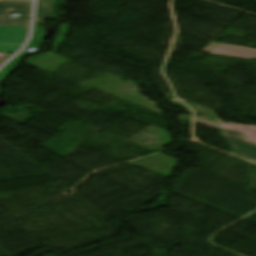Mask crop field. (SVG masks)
Instances as JSON below:
<instances>
[{
    "label": "crop field",
    "mask_w": 256,
    "mask_h": 256,
    "mask_svg": "<svg viewBox=\"0 0 256 256\" xmlns=\"http://www.w3.org/2000/svg\"><path fill=\"white\" fill-rule=\"evenodd\" d=\"M248 131L220 124V136L231 147V154L256 162V143L247 137Z\"/></svg>",
    "instance_id": "8a807250"
},
{
    "label": "crop field",
    "mask_w": 256,
    "mask_h": 256,
    "mask_svg": "<svg viewBox=\"0 0 256 256\" xmlns=\"http://www.w3.org/2000/svg\"><path fill=\"white\" fill-rule=\"evenodd\" d=\"M31 2L0 1V25L28 26L29 20L10 19V12L29 13Z\"/></svg>",
    "instance_id": "ac0d7876"
},
{
    "label": "crop field",
    "mask_w": 256,
    "mask_h": 256,
    "mask_svg": "<svg viewBox=\"0 0 256 256\" xmlns=\"http://www.w3.org/2000/svg\"><path fill=\"white\" fill-rule=\"evenodd\" d=\"M27 29L28 27L0 26V50L16 52L26 39Z\"/></svg>",
    "instance_id": "34b2d1b8"
},
{
    "label": "crop field",
    "mask_w": 256,
    "mask_h": 256,
    "mask_svg": "<svg viewBox=\"0 0 256 256\" xmlns=\"http://www.w3.org/2000/svg\"><path fill=\"white\" fill-rule=\"evenodd\" d=\"M202 51L203 52L226 55V56L244 58V59H254V58H256V49L234 46V45L221 44V43H215V42H211Z\"/></svg>",
    "instance_id": "412701ff"
},
{
    "label": "crop field",
    "mask_w": 256,
    "mask_h": 256,
    "mask_svg": "<svg viewBox=\"0 0 256 256\" xmlns=\"http://www.w3.org/2000/svg\"><path fill=\"white\" fill-rule=\"evenodd\" d=\"M53 0H38L36 19L49 20L52 16Z\"/></svg>",
    "instance_id": "f4fd0767"
},
{
    "label": "crop field",
    "mask_w": 256,
    "mask_h": 256,
    "mask_svg": "<svg viewBox=\"0 0 256 256\" xmlns=\"http://www.w3.org/2000/svg\"><path fill=\"white\" fill-rule=\"evenodd\" d=\"M243 129V128H242ZM248 130V129H246ZM250 132L247 134L248 137L250 138L251 141H255L256 142V132L249 130Z\"/></svg>",
    "instance_id": "dd49c442"
},
{
    "label": "crop field",
    "mask_w": 256,
    "mask_h": 256,
    "mask_svg": "<svg viewBox=\"0 0 256 256\" xmlns=\"http://www.w3.org/2000/svg\"><path fill=\"white\" fill-rule=\"evenodd\" d=\"M231 125H235V126H239V127H244V128H248V129H252V130L256 131V126L239 125V124H231Z\"/></svg>",
    "instance_id": "e52e79f7"
}]
</instances>
